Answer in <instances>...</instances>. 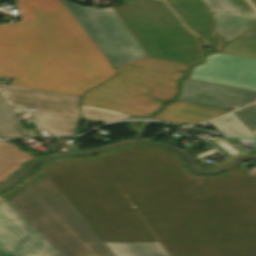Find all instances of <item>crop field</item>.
Listing matches in <instances>:
<instances>
[{
    "mask_svg": "<svg viewBox=\"0 0 256 256\" xmlns=\"http://www.w3.org/2000/svg\"><path fill=\"white\" fill-rule=\"evenodd\" d=\"M96 155L170 256H256V179L194 175L148 145Z\"/></svg>",
    "mask_w": 256,
    "mask_h": 256,
    "instance_id": "crop-field-1",
    "label": "crop field"
},
{
    "mask_svg": "<svg viewBox=\"0 0 256 256\" xmlns=\"http://www.w3.org/2000/svg\"><path fill=\"white\" fill-rule=\"evenodd\" d=\"M33 19L0 27V77L81 96L117 74L60 0L16 2Z\"/></svg>",
    "mask_w": 256,
    "mask_h": 256,
    "instance_id": "crop-field-2",
    "label": "crop field"
},
{
    "mask_svg": "<svg viewBox=\"0 0 256 256\" xmlns=\"http://www.w3.org/2000/svg\"><path fill=\"white\" fill-rule=\"evenodd\" d=\"M40 168L116 256H167L97 157Z\"/></svg>",
    "mask_w": 256,
    "mask_h": 256,
    "instance_id": "crop-field-3",
    "label": "crop field"
},
{
    "mask_svg": "<svg viewBox=\"0 0 256 256\" xmlns=\"http://www.w3.org/2000/svg\"><path fill=\"white\" fill-rule=\"evenodd\" d=\"M62 256H115L51 180L40 172L3 197Z\"/></svg>",
    "mask_w": 256,
    "mask_h": 256,
    "instance_id": "crop-field-4",
    "label": "crop field"
},
{
    "mask_svg": "<svg viewBox=\"0 0 256 256\" xmlns=\"http://www.w3.org/2000/svg\"><path fill=\"white\" fill-rule=\"evenodd\" d=\"M188 65L153 57L119 67L118 75L85 93L81 104L121 113L146 116L161 107L162 100L173 98L177 82Z\"/></svg>",
    "mask_w": 256,
    "mask_h": 256,
    "instance_id": "crop-field-5",
    "label": "crop field"
},
{
    "mask_svg": "<svg viewBox=\"0 0 256 256\" xmlns=\"http://www.w3.org/2000/svg\"><path fill=\"white\" fill-rule=\"evenodd\" d=\"M187 27L215 50L229 39L240 36L256 38V12L246 0H165ZM215 12V14H212Z\"/></svg>",
    "mask_w": 256,
    "mask_h": 256,
    "instance_id": "crop-field-6",
    "label": "crop field"
},
{
    "mask_svg": "<svg viewBox=\"0 0 256 256\" xmlns=\"http://www.w3.org/2000/svg\"><path fill=\"white\" fill-rule=\"evenodd\" d=\"M63 2L113 66L147 57L112 7L97 9Z\"/></svg>",
    "mask_w": 256,
    "mask_h": 256,
    "instance_id": "crop-field-7",
    "label": "crop field"
},
{
    "mask_svg": "<svg viewBox=\"0 0 256 256\" xmlns=\"http://www.w3.org/2000/svg\"><path fill=\"white\" fill-rule=\"evenodd\" d=\"M11 104L36 108L30 113L40 129L53 136L76 134L80 113L74 96L0 85Z\"/></svg>",
    "mask_w": 256,
    "mask_h": 256,
    "instance_id": "crop-field-8",
    "label": "crop field"
},
{
    "mask_svg": "<svg viewBox=\"0 0 256 256\" xmlns=\"http://www.w3.org/2000/svg\"><path fill=\"white\" fill-rule=\"evenodd\" d=\"M0 256H61L0 197Z\"/></svg>",
    "mask_w": 256,
    "mask_h": 256,
    "instance_id": "crop-field-9",
    "label": "crop field"
},
{
    "mask_svg": "<svg viewBox=\"0 0 256 256\" xmlns=\"http://www.w3.org/2000/svg\"><path fill=\"white\" fill-rule=\"evenodd\" d=\"M190 78L256 90V60L221 53L209 55L204 64L193 67Z\"/></svg>",
    "mask_w": 256,
    "mask_h": 256,
    "instance_id": "crop-field-10",
    "label": "crop field"
},
{
    "mask_svg": "<svg viewBox=\"0 0 256 256\" xmlns=\"http://www.w3.org/2000/svg\"><path fill=\"white\" fill-rule=\"evenodd\" d=\"M181 101L232 111L256 100V91L187 79Z\"/></svg>",
    "mask_w": 256,
    "mask_h": 256,
    "instance_id": "crop-field-11",
    "label": "crop field"
},
{
    "mask_svg": "<svg viewBox=\"0 0 256 256\" xmlns=\"http://www.w3.org/2000/svg\"><path fill=\"white\" fill-rule=\"evenodd\" d=\"M227 112L228 111L177 101L168 105L164 111L152 118L179 124H191L217 117Z\"/></svg>",
    "mask_w": 256,
    "mask_h": 256,
    "instance_id": "crop-field-12",
    "label": "crop field"
},
{
    "mask_svg": "<svg viewBox=\"0 0 256 256\" xmlns=\"http://www.w3.org/2000/svg\"><path fill=\"white\" fill-rule=\"evenodd\" d=\"M24 151L19 150L15 145L0 141V183L15 170L23 167L22 163L34 158Z\"/></svg>",
    "mask_w": 256,
    "mask_h": 256,
    "instance_id": "crop-field-13",
    "label": "crop field"
},
{
    "mask_svg": "<svg viewBox=\"0 0 256 256\" xmlns=\"http://www.w3.org/2000/svg\"><path fill=\"white\" fill-rule=\"evenodd\" d=\"M209 123L223 134L256 141V136L233 113Z\"/></svg>",
    "mask_w": 256,
    "mask_h": 256,
    "instance_id": "crop-field-14",
    "label": "crop field"
},
{
    "mask_svg": "<svg viewBox=\"0 0 256 256\" xmlns=\"http://www.w3.org/2000/svg\"><path fill=\"white\" fill-rule=\"evenodd\" d=\"M19 122V119L0 93V135L5 138L21 137L13 125Z\"/></svg>",
    "mask_w": 256,
    "mask_h": 256,
    "instance_id": "crop-field-15",
    "label": "crop field"
},
{
    "mask_svg": "<svg viewBox=\"0 0 256 256\" xmlns=\"http://www.w3.org/2000/svg\"><path fill=\"white\" fill-rule=\"evenodd\" d=\"M81 110H82V116H83L82 119L101 122V123H106V122H111V121H116V120L131 117V115L121 114L117 112L97 109V108L83 106V105H81Z\"/></svg>",
    "mask_w": 256,
    "mask_h": 256,
    "instance_id": "crop-field-16",
    "label": "crop field"
},
{
    "mask_svg": "<svg viewBox=\"0 0 256 256\" xmlns=\"http://www.w3.org/2000/svg\"><path fill=\"white\" fill-rule=\"evenodd\" d=\"M234 114L247 126L256 127V105L252 104L241 110L234 112Z\"/></svg>",
    "mask_w": 256,
    "mask_h": 256,
    "instance_id": "crop-field-17",
    "label": "crop field"
},
{
    "mask_svg": "<svg viewBox=\"0 0 256 256\" xmlns=\"http://www.w3.org/2000/svg\"><path fill=\"white\" fill-rule=\"evenodd\" d=\"M16 6L22 20L31 18L23 9H21L18 5Z\"/></svg>",
    "mask_w": 256,
    "mask_h": 256,
    "instance_id": "crop-field-18",
    "label": "crop field"
},
{
    "mask_svg": "<svg viewBox=\"0 0 256 256\" xmlns=\"http://www.w3.org/2000/svg\"><path fill=\"white\" fill-rule=\"evenodd\" d=\"M79 101H80V98H79V97H77V98H75L74 100H72V102H76V103H79Z\"/></svg>",
    "mask_w": 256,
    "mask_h": 256,
    "instance_id": "crop-field-19",
    "label": "crop field"
},
{
    "mask_svg": "<svg viewBox=\"0 0 256 256\" xmlns=\"http://www.w3.org/2000/svg\"><path fill=\"white\" fill-rule=\"evenodd\" d=\"M253 1V3L256 5V0H252Z\"/></svg>",
    "mask_w": 256,
    "mask_h": 256,
    "instance_id": "crop-field-20",
    "label": "crop field"
},
{
    "mask_svg": "<svg viewBox=\"0 0 256 256\" xmlns=\"http://www.w3.org/2000/svg\"><path fill=\"white\" fill-rule=\"evenodd\" d=\"M126 23V22H125ZM129 27V26H128ZM131 30V29H130ZM136 37V36H135Z\"/></svg>",
    "mask_w": 256,
    "mask_h": 256,
    "instance_id": "crop-field-21",
    "label": "crop field"
},
{
    "mask_svg": "<svg viewBox=\"0 0 256 256\" xmlns=\"http://www.w3.org/2000/svg\"><path fill=\"white\" fill-rule=\"evenodd\" d=\"M11 1H14V0H11Z\"/></svg>",
    "mask_w": 256,
    "mask_h": 256,
    "instance_id": "crop-field-22",
    "label": "crop field"
},
{
    "mask_svg": "<svg viewBox=\"0 0 256 256\" xmlns=\"http://www.w3.org/2000/svg\"><path fill=\"white\" fill-rule=\"evenodd\" d=\"M0 138H2V137H0Z\"/></svg>",
    "mask_w": 256,
    "mask_h": 256,
    "instance_id": "crop-field-23",
    "label": "crop field"
}]
</instances>
